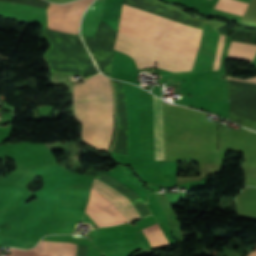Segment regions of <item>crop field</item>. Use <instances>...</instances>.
<instances>
[{
	"instance_id": "8a807250",
	"label": "crop field",
	"mask_w": 256,
	"mask_h": 256,
	"mask_svg": "<svg viewBox=\"0 0 256 256\" xmlns=\"http://www.w3.org/2000/svg\"><path fill=\"white\" fill-rule=\"evenodd\" d=\"M166 28L197 40H199L201 33L200 30L195 28L124 3L118 30L119 33L160 47ZM168 29L163 37L160 48L136 39L134 40L191 68L198 41ZM119 33L117 35L114 52L136 66H154L156 61H158L157 68L169 71L190 70V68L132 40L133 38L130 39ZM224 38L225 36L220 34L213 70L219 67Z\"/></svg>"
},
{
	"instance_id": "ac0d7876",
	"label": "crop field",
	"mask_w": 256,
	"mask_h": 256,
	"mask_svg": "<svg viewBox=\"0 0 256 256\" xmlns=\"http://www.w3.org/2000/svg\"><path fill=\"white\" fill-rule=\"evenodd\" d=\"M71 113L81 123L84 143L108 152L113 125V95L110 79L102 74L75 85Z\"/></svg>"
},
{
	"instance_id": "34b2d1b8",
	"label": "crop field",
	"mask_w": 256,
	"mask_h": 256,
	"mask_svg": "<svg viewBox=\"0 0 256 256\" xmlns=\"http://www.w3.org/2000/svg\"><path fill=\"white\" fill-rule=\"evenodd\" d=\"M117 219L119 223L129 222L140 218L131 203L111 185L94 179L91 192ZM90 195L86 213L101 227L119 224L108 210Z\"/></svg>"
},
{
	"instance_id": "412701ff",
	"label": "crop field",
	"mask_w": 256,
	"mask_h": 256,
	"mask_svg": "<svg viewBox=\"0 0 256 256\" xmlns=\"http://www.w3.org/2000/svg\"><path fill=\"white\" fill-rule=\"evenodd\" d=\"M93 1L78 0L73 2L70 8L71 3L65 5L51 4L47 11L49 28L62 32L64 17L69 8L65 17L63 32L77 34L82 14Z\"/></svg>"
},
{
	"instance_id": "f4fd0767",
	"label": "crop field",
	"mask_w": 256,
	"mask_h": 256,
	"mask_svg": "<svg viewBox=\"0 0 256 256\" xmlns=\"http://www.w3.org/2000/svg\"><path fill=\"white\" fill-rule=\"evenodd\" d=\"M75 250V244L49 241H41L30 250L10 248L12 256H75Z\"/></svg>"
},
{
	"instance_id": "dd49c442",
	"label": "crop field",
	"mask_w": 256,
	"mask_h": 256,
	"mask_svg": "<svg viewBox=\"0 0 256 256\" xmlns=\"http://www.w3.org/2000/svg\"><path fill=\"white\" fill-rule=\"evenodd\" d=\"M155 160H164L162 100L153 96Z\"/></svg>"
},
{
	"instance_id": "e52e79f7",
	"label": "crop field",
	"mask_w": 256,
	"mask_h": 256,
	"mask_svg": "<svg viewBox=\"0 0 256 256\" xmlns=\"http://www.w3.org/2000/svg\"><path fill=\"white\" fill-rule=\"evenodd\" d=\"M255 54L256 45L232 41L227 58L244 59L252 62Z\"/></svg>"
},
{
	"instance_id": "d8731c3e",
	"label": "crop field",
	"mask_w": 256,
	"mask_h": 256,
	"mask_svg": "<svg viewBox=\"0 0 256 256\" xmlns=\"http://www.w3.org/2000/svg\"><path fill=\"white\" fill-rule=\"evenodd\" d=\"M248 7L247 3L235 0H218L215 9L243 16Z\"/></svg>"
},
{
	"instance_id": "5a996713",
	"label": "crop field",
	"mask_w": 256,
	"mask_h": 256,
	"mask_svg": "<svg viewBox=\"0 0 256 256\" xmlns=\"http://www.w3.org/2000/svg\"><path fill=\"white\" fill-rule=\"evenodd\" d=\"M144 232L153 247L170 244L158 223L144 229Z\"/></svg>"
},
{
	"instance_id": "3316defc",
	"label": "crop field",
	"mask_w": 256,
	"mask_h": 256,
	"mask_svg": "<svg viewBox=\"0 0 256 256\" xmlns=\"http://www.w3.org/2000/svg\"><path fill=\"white\" fill-rule=\"evenodd\" d=\"M248 256H256V250L253 251L251 254H249Z\"/></svg>"
}]
</instances>
